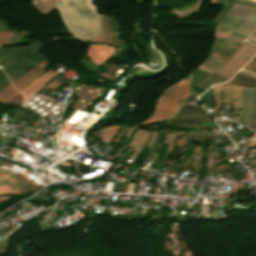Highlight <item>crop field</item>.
<instances>
[{
  "label": "crop field",
  "mask_w": 256,
  "mask_h": 256,
  "mask_svg": "<svg viewBox=\"0 0 256 256\" xmlns=\"http://www.w3.org/2000/svg\"><path fill=\"white\" fill-rule=\"evenodd\" d=\"M244 68L256 73V55L249 61V63Z\"/></svg>",
  "instance_id": "14"
},
{
  "label": "crop field",
  "mask_w": 256,
  "mask_h": 256,
  "mask_svg": "<svg viewBox=\"0 0 256 256\" xmlns=\"http://www.w3.org/2000/svg\"><path fill=\"white\" fill-rule=\"evenodd\" d=\"M229 82L241 87L256 88V78H252L240 72H237Z\"/></svg>",
  "instance_id": "10"
},
{
  "label": "crop field",
  "mask_w": 256,
  "mask_h": 256,
  "mask_svg": "<svg viewBox=\"0 0 256 256\" xmlns=\"http://www.w3.org/2000/svg\"><path fill=\"white\" fill-rule=\"evenodd\" d=\"M20 193L17 183L7 170L0 169V194H16Z\"/></svg>",
  "instance_id": "5"
},
{
  "label": "crop field",
  "mask_w": 256,
  "mask_h": 256,
  "mask_svg": "<svg viewBox=\"0 0 256 256\" xmlns=\"http://www.w3.org/2000/svg\"><path fill=\"white\" fill-rule=\"evenodd\" d=\"M57 74L58 73L53 72L49 69L44 74H42L38 78H36L31 84H29L24 90L21 91L25 97V100H27L29 97H31L44 84H46L49 80H51Z\"/></svg>",
  "instance_id": "6"
},
{
  "label": "crop field",
  "mask_w": 256,
  "mask_h": 256,
  "mask_svg": "<svg viewBox=\"0 0 256 256\" xmlns=\"http://www.w3.org/2000/svg\"><path fill=\"white\" fill-rule=\"evenodd\" d=\"M62 84H64V81L63 78L59 75L55 79H53L47 86L56 89Z\"/></svg>",
  "instance_id": "13"
},
{
  "label": "crop field",
  "mask_w": 256,
  "mask_h": 256,
  "mask_svg": "<svg viewBox=\"0 0 256 256\" xmlns=\"http://www.w3.org/2000/svg\"><path fill=\"white\" fill-rule=\"evenodd\" d=\"M13 35L15 34L11 30L0 31V44L11 42L8 36H13Z\"/></svg>",
  "instance_id": "12"
},
{
  "label": "crop field",
  "mask_w": 256,
  "mask_h": 256,
  "mask_svg": "<svg viewBox=\"0 0 256 256\" xmlns=\"http://www.w3.org/2000/svg\"><path fill=\"white\" fill-rule=\"evenodd\" d=\"M244 17L227 14L218 24L216 30L231 34L243 21Z\"/></svg>",
  "instance_id": "8"
},
{
  "label": "crop field",
  "mask_w": 256,
  "mask_h": 256,
  "mask_svg": "<svg viewBox=\"0 0 256 256\" xmlns=\"http://www.w3.org/2000/svg\"><path fill=\"white\" fill-rule=\"evenodd\" d=\"M56 6L67 28L78 39L85 42L102 33L100 18L91 0H59Z\"/></svg>",
  "instance_id": "1"
},
{
  "label": "crop field",
  "mask_w": 256,
  "mask_h": 256,
  "mask_svg": "<svg viewBox=\"0 0 256 256\" xmlns=\"http://www.w3.org/2000/svg\"><path fill=\"white\" fill-rule=\"evenodd\" d=\"M49 64L46 62L40 63L38 66H36L34 69H32L30 72H28L26 75L23 77L19 78L15 82H13L14 86L22 90L24 87H26L31 81H33L39 74L40 72L47 67ZM42 73V72H41Z\"/></svg>",
  "instance_id": "9"
},
{
  "label": "crop field",
  "mask_w": 256,
  "mask_h": 256,
  "mask_svg": "<svg viewBox=\"0 0 256 256\" xmlns=\"http://www.w3.org/2000/svg\"><path fill=\"white\" fill-rule=\"evenodd\" d=\"M241 102H242L241 112H240V116H239L237 121L240 120V118L242 116V113H243V109H244V89H242V88H241ZM251 107H252V89H247V111H246V115L243 119V116H244L245 110H246V89H245V110H244L243 116H242L240 121H242V119H243V122L247 124V122L249 120V117L251 115ZM254 111H255V89H253L252 115L250 117V120L248 122L247 127L250 125V122H251V120L253 118V115H254Z\"/></svg>",
  "instance_id": "7"
},
{
  "label": "crop field",
  "mask_w": 256,
  "mask_h": 256,
  "mask_svg": "<svg viewBox=\"0 0 256 256\" xmlns=\"http://www.w3.org/2000/svg\"><path fill=\"white\" fill-rule=\"evenodd\" d=\"M190 93L186 81L180 80L161 94L155 106V112L142 123L158 121L171 116Z\"/></svg>",
  "instance_id": "2"
},
{
  "label": "crop field",
  "mask_w": 256,
  "mask_h": 256,
  "mask_svg": "<svg viewBox=\"0 0 256 256\" xmlns=\"http://www.w3.org/2000/svg\"><path fill=\"white\" fill-rule=\"evenodd\" d=\"M253 35H255V36H256V33H255V34H253Z\"/></svg>",
  "instance_id": "16"
},
{
  "label": "crop field",
  "mask_w": 256,
  "mask_h": 256,
  "mask_svg": "<svg viewBox=\"0 0 256 256\" xmlns=\"http://www.w3.org/2000/svg\"><path fill=\"white\" fill-rule=\"evenodd\" d=\"M17 93L18 91L13 87L12 84L8 85L6 88L0 91V103H6Z\"/></svg>",
  "instance_id": "11"
},
{
  "label": "crop field",
  "mask_w": 256,
  "mask_h": 256,
  "mask_svg": "<svg viewBox=\"0 0 256 256\" xmlns=\"http://www.w3.org/2000/svg\"><path fill=\"white\" fill-rule=\"evenodd\" d=\"M248 1H253V2H256V0H248Z\"/></svg>",
  "instance_id": "15"
},
{
  "label": "crop field",
  "mask_w": 256,
  "mask_h": 256,
  "mask_svg": "<svg viewBox=\"0 0 256 256\" xmlns=\"http://www.w3.org/2000/svg\"><path fill=\"white\" fill-rule=\"evenodd\" d=\"M255 131H256V128H255Z\"/></svg>",
  "instance_id": "17"
},
{
  "label": "crop field",
  "mask_w": 256,
  "mask_h": 256,
  "mask_svg": "<svg viewBox=\"0 0 256 256\" xmlns=\"http://www.w3.org/2000/svg\"><path fill=\"white\" fill-rule=\"evenodd\" d=\"M256 52V46L244 42L234 53H232L214 72L230 78L236 73Z\"/></svg>",
  "instance_id": "3"
},
{
  "label": "crop field",
  "mask_w": 256,
  "mask_h": 256,
  "mask_svg": "<svg viewBox=\"0 0 256 256\" xmlns=\"http://www.w3.org/2000/svg\"><path fill=\"white\" fill-rule=\"evenodd\" d=\"M117 49L101 44H93L89 46L87 56L95 63L100 65L107 57L112 55Z\"/></svg>",
  "instance_id": "4"
}]
</instances>
